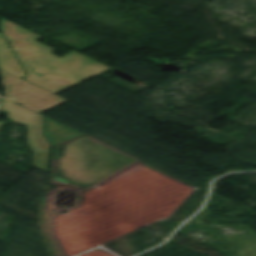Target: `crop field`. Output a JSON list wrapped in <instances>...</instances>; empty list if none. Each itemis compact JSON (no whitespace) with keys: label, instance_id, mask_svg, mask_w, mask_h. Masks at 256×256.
Instances as JSON below:
<instances>
[{"label":"crop field","instance_id":"8a807250","mask_svg":"<svg viewBox=\"0 0 256 256\" xmlns=\"http://www.w3.org/2000/svg\"><path fill=\"white\" fill-rule=\"evenodd\" d=\"M0 27L28 72L26 81L55 94L110 68L75 51L58 57L42 37L1 17Z\"/></svg>","mask_w":256,"mask_h":256},{"label":"crop field","instance_id":"ac0d7876","mask_svg":"<svg viewBox=\"0 0 256 256\" xmlns=\"http://www.w3.org/2000/svg\"><path fill=\"white\" fill-rule=\"evenodd\" d=\"M0 110L9 111V118L13 122L27 125L28 143L35 151L32 164L47 171L50 146L42 135V115L10 100H4Z\"/></svg>","mask_w":256,"mask_h":256},{"label":"crop field","instance_id":"34b2d1b8","mask_svg":"<svg viewBox=\"0 0 256 256\" xmlns=\"http://www.w3.org/2000/svg\"><path fill=\"white\" fill-rule=\"evenodd\" d=\"M44 135L54 147L83 134L44 116Z\"/></svg>","mask_w":256,"mask_h":256},{"label":"crop field","instance_id":"412701ff","mask_svg":"<svg viewBox=\"0 0 256 256\" xmlns=\"http://www.w3.org/2000/svg\"><path fill=\"white\" fill-rule=\"evenodd\" d=\"M0 50H12L8 45L3 33H0Z\"/></svg>","mask_w":256,"mask_h":256}]
</instances>
